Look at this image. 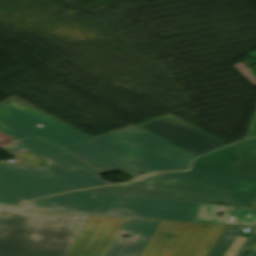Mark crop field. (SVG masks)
I'll use <instances>...</instances> for the list:
<instances>
[{
  "label": "crop field",
  "instance_id": "crop-field-9",
  "mask_svg": "<svg viewBox=\"0 0 256 256\" xmlns=\"http://www.w3.org/2000/svg\"><path fill=\"white\" fill-rule=\"evenodd\" d=\"M190 224L161 221L141 256H171ZM172 234L170 239L165 238Z\"/></svg>",
  "mask_w": 256,
  "mask_h": 256
},
{
  "label": "crop field",
  "instance_id": "crop-field-19",
  "mask_svg": "<svg viewBox=\"0 0 256 256\" xmlns=\"http://www.w3.org/2000/svg\"><path fill=\"white\" fill-rule=\"evenodd\" d=\"M252 250H256V244L254 245V247L252 248Z\"/></svg>",
  "mask_w": 256,
  "mask_h": 256
},
{
  "label": "crop field",
  "instance_id": "crop-field-10",
  "mask_svg": "<svg viewBox=\"0 0 256 256\" xmlns=\"http://www.w3.org/2000/svg\"><path fill=\"white\" fill-rule=\"evenodd\" d=\"M218 210L224 211L222 218H216ZM201 222L256 225V209L243 206L201 203L196 220Z\"/></svg>",
  "mask_w": 256,
  "mask_h": 256
},
{
  "label": "crop field",
  "instance_id": "crop-field-6",
  "mask_svg": "<svg viewBox=\"0 0 256 256\" xmlns=\"http://www.w3.org/2000/svg\"><path fill=\"white\" fill-rule=\"evenodd\" d=\"M124 220L90 217L65 256H103Z\"/></svg>",
  "mask_w": 256,
  "mask_h": 256
},
{
  "label": "crop field",
  "instance_id": "crop-field-12",
  "mask_svg": "<svg viewBox=\"0 0 256 256\" xmlns=\"http://www.w3.org/2000/svg\"><path fill=\"white\" fill-rule=\"evenodd\" d=\"M240 142L231 145L229 147L220 149L218 151L209 153L207 155L201 156L194 159L192 163L191 170L188 172H178V173H154V174H183L192 173L195 167L204 168H217L230 170L237 153Z\"/></svg>",
  "mask_w": 256,
  "mask_h": 256
},
{
  "label": "crop field",
  "instance_id": "crop-field-15",
  "mask_svg": "<svg viewBox=\"0 0 256 256\" xmlns=\"http://www.w3.org/2000/svg\"><path fill=\"white\" fill-rule=\"evenodd\" d=\"M256 136V109L244 138Z\"/></svg>",
  "mask_w": 256,
  "mask_h": 256
},
{
  "label": "crop field",
  "instance_id": "crop-field-16",
  "mask_svg": "<svg viewBox=\"0 0 256 256\" xmlns=\"http://www.w3.org/2000/svg\"><path fill=\"white\" fill-rule=\"evenodd\" d=\"M9 141L15 142V139H13V138H11V137H9V136L0 132V142L6 143V142H9Z\"/></svg>",
  "mask_w": 256,
  "mask_h": 256
},
{
  "label": "crop field",
  "instance_id": "crop-field-17",
  "mask_svg": "<svg viewBox=\"0 0 256 256\" xmlns=\"http://www.w3.org/2000/svg\"><path fill=\"white\" fill-rule=\"evenodd\" d=\"M250 58H255L256 59V51H253L249 54H247Z\"/></svg>",
  "mask_w": 256,
  "mask_h": 256
},
{
  "label": "crop field",
  "instance_id": "crop-field-20",
  "mask_svg": "<svg viewBox=\"0 0 256 256\" xmlns=\"http://www.w3.org/2000/svg\"><path fill=\"white\" fill-rule=\"evenodd\" d=\"M254 207H256V202L254 203V205H253Z\"/></svg>",
  "mask_w": 256,
  "mask_h": 256
},
{
  "label": "crop field",
  "instance_id": "crop-field-8",
  "mask_svg": "<svg viewBox=\"0 0 256 256\" xmlns=\"http://www.w3.org/2000/svg\"><path fill=\"white\" fill-rule=\"evenodd\" d=\"M224 228L192 224L172 256H205Z\"/></svg>",
  "mask_w": 256,
  "mask_h": 256
},
{
  "label": "crop field",
  "instance_id": "crop-field-2",
  "mask_svg": "<svg viewBox=\"0 0 256 256\" xmlns=\"http://www.w3.org/2000/svg\"><path fill=\"white\" fill-rule=\"evenodd\" d=\"M82 191L250 206L256 173L196 168L193 174L144 175L129 184Z\"/></svg>",
  "mask_w": 256,
  "mask_h": 256
},
{
  "label": "crop field",
  "instance_id": "crop-field-14",
  "mask_svg": "<svg viewBox=\"0 0 256 256\" xmlns=\"http://www.w3.org/2000/svg\"><path fill=\"white\" fill-rule=\"evenodd\" d=\"M28 200L0 184V208L20 209Z\"/></svg>",
  "mask_w": 256,
  "mask_h": 256
},
{
  "label": "crop field",
  "instance_id": "crop-field-11",
  "mask_svg": "<svg viewBox=\"0 0 256 256\" xmlns=\"http://www.w3.org/2000/svg\"><path fill=\"white\" fill-rule=\"evenodd\" d=\"M245 227L226 226L206 256H244L256 238L251 227L248 237L238 236Z\"/></svg>",
  "mask_w": 256,
  "mask_h": 256
},
{
  "label": "crop field",
  "instance_id": "crop-field-3",
  "mask_svg": "<svg viewBox=\"0 0 256 256\" xmlns=\"http://www.w3.org/2000/svg\"><path fill=\"white\" fill-rule=\"evenodd\" d=\"M199 204L75 191L32 200L22 210L194 222Z\"/></svg>",
  "mask_w": 256,
  "mask_h": 256
},
{
  "label": "crop field",
  "instance_id": "crop-field-4",
  "mask_svg": "<svg viewBox=\"0 0 256 256\" xmlns=\"http://www.w3.org/2000/svg\"><path fill=\"white\" fill-rule=\"evenodd\" d=\"M87 219L0 210V256H64Z\"/></svg>",
  "mask_w": 256,
  "mask_h": 256
},
{
  "label": "crop field",
  "instance_id": "crop-field-18",
  "mask_svg": "<svg viewBox=\"0 0 256 256\" xmlns=\"http://www.w3.org/2000/svg\"><path fill=\"white\" fill-rule=\"evenodd\" d=\"M248 256H256V251H250V253L248 254Z\"/></svg>",
  "mask_w": 256,
  "mask_h": 256
},
{
  "label": "crop field",
  "instance_id": "crop-field-13",
  "mask_svg": "<svg viewBox=\"0 0 256 256\" xmlns=\"http://www.w3.org/2000/svg\"><path fill=\"white\" fill-rule=\"evenodd\" d=\"M233 169L256 172V138L244 141Z\"/></svg>",
  "mask_w": 256,
  "mask_h": 256
},
{
  "label": "crop field",
  "instance_id": "crop-field-1",
  "mask_svg": "<svg viewBox=\"0 0 256 256\" xmlns=\"http://www.w3.org/2000/svg\"><path fill=\"white\" fill-rule=\"evenodd\" d=\"M0 131L17 140L6 151L25 150L48 162L45 168L0 164V183L28 200L110 184L98 177L103 173L65 152L106 173L125 170L133 176L187 169L193 157L136 125L93 139L16 98L0 103Z\"/></svg>",
  "mask_w": 256,
  "mask_h": 256
},
{
  "label": "crop field",
  "instance_id": "crop-field-7",
  "mask_svg": "<svg viewBox=\"0 0 256 256\" xmlns=\"http://www.w3.org/2000/svg\"><path fill=\"white\" fill-rule=\"evenodd\" d=\"M160 221L126 219L104 256H140ZM122 235L132 236L130 239Z\"/></svg>",
  "mask_w": 256,
  "mask_h": 256
},
{
  "label": "crop field",
  "instance_id": "crop-field-5",
  "mask_svg": "<svg viewBox=\"0 0 256 256\" xmlns=\"http://www.w3.org/2000/svg\"><path fill=\"white\" fill-rule=\"evenodd\" d=\"M145 130L163 137L199 156L224 146L223 142L171 114L137 124Z\"/></svg>",
  "mask_w": 256,
  "mask_h": 256
}]
</instances>
